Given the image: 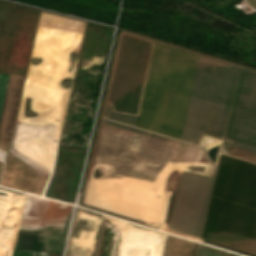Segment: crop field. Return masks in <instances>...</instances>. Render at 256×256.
<instances>
[{
    "mask_svg": "<svg viewBox=\"0 0 256 256\" xmlns=\"http://www.w3.org/2000/svg\"><path fill=\"white\" fill-rule=\"evenodd\" d=\"M254 9H256V0H246Z\"/></svg>",
    "mask_w": 256,
    "mask_h": 256,
    "instance_id": "obj_9",
    "label": "crop field"
},
{
    "mask_svg": "<svg viewBox=\"0 0 256 256\" xmlns=\"http://www.w3.org/2000/svg\"><path fill=\"white\" fill-rule=\"evenodd\" d=\"M101 124H106V125H110V126H115V127L123 128V129L129 130V131L141 134V135L145 134V131L140 130L138 128L127 126V125H123V124L116 123V122H113V121H110V120H107V119H103V118H102Z\"/></svg>",
    "mask_w": 256,
    "mask_h": 256,
    "instance_id": "obj_6",
    "label": "crop field"
},
{
    "mask_svg": "<svg viewBox=\"0 0 256 256\" xmlns=\"http://www.w3.org/2000/svg\"><path fill=\"white\" fill-rule=\"evenodd\" d=\"M24 76L10 75L0 115V147L7 150Z\"/></svg>",
    "mask_w": 256,
    "mask_h": 256,
    "instance_id": "obj_5",
    "label": "crop field"
},
{
    "mask_svg": "<svg viewBox=\"0 0 256 256\" xmlns=\"http://www.w3.org/2000/svg\"><path fill=\"white\" fill-rule=\"evenodd\" d=\"M200 55L153 44L139 117L110 112L102 116L183 138ZM239 68L201 58L184 141L196 144L202 130L223 136Z\"/></svg>",
    "mask_w": 256,
    "mask_h": 256,
    "instance_id": "obj_1",
    "label": "crop field"
},
{
    "mask_svg": "<svg viewBox=\"0 0 256 256\" xmlns=\"http://www.w3.org/2000/svg\"><path fill=\"white\" fill-rule=\"evenodd\" d=\"M219 255H220L219 252H215V251L205 249V248H202V247H201L200 253H199V256H219ZM220 256H227V255H224V254L221 253Z\"/></svg>",
    "mask_w": 256,
    "mask_h": 256,
    "instance_id": "obj_8",
    "label": "crop field"
},
{
    "mask_svg": "<svg viewBox=\"0 0 256 256\" xmlns=\"http://www.w3.org/2000/svg\"><path fill=\"white\" fill-rule=\"evenodd\" d=\"M225 137L256 153V73L240 70Z\"/></svg>",
    "mask_w": 256,
    "mask_h": 256,
    "instance_id": "obj_4",
    "label": "crop field"
},
{
    "mask_svg": "<svg viewBox=\"0 0 256 256\" xmlns=\"http://www.w3.org/2000/svg\"><path fill=\"white\" fill-rule=\"evenodd\" d=\"M213 180L183 173L180 178L170 228L200 238Z\"/></svg>",
    "mask_w": 256,
    "mask_h": 256,
    "instance_id": "obj_3",
    "label": "crop field"
},
{
    "mask_svg": "<svg viewBox=\"0 0 256 256\" xmlns=\"http://www.w3.org/2000/svg\"><path fill=\"white\" fill-rule=\"evenodd\" d=\"M207 232L256 239V164L220 153L202 239Z\"/></svg>",
    "mask_w": 256,
    "mask_h": 256,
    "instance_id": "obj_2",
    "label": "crop field"
},
{
    "mask_svg": "<svg viewBox=\"0 0 256 256\" xmlns=\"http://www.w3.org/2000/svg\"><path fill=\"white\" fill-rule=\"evenodd\" d=\"M1 25H2V23H0V29H1Z\"/></svg>",
    "mask_w": 256,
    "mask_h": 256,
    "instance_id": "obj_10",
    "label": "crop field"
},
{
    "mask_svg": "<svg viewBox=\"0 0 256 256\" xmlns=\"http://www.w3.org/2000/svg\"><path fill=\"white\" fill-rule=\"evenodd\" d=\"M8 77L9 75H0V111L3 103Z\"/></svg>",
    "mask_w": 256,
    "mask_h": 256,
    "instance_id": "obj_7",
    "label": "crop field"
}]
</instances>
